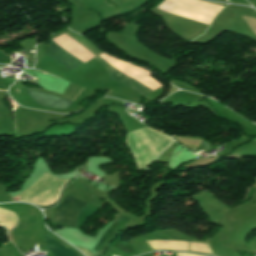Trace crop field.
Returning <instances> with one entry per match:
<instances>
[{
  "mask_svg": "<svg viewBox=\"0 0 256 256\" xmlns=\"http://www.w3.org/2000/svg\"><path fill=\"white\" fill-rule=\"evenodd\" d=\"M85 205L86 203L67 196L55 212L54 223L76 227L77 214Z\"/></svg>",
  "mask_w": 256,
  "mask_h": 256,
  "instance_id": "8a807250",
  "label": "crop field"
},
{
  "mask_svg": "<svg viewBox=\"0 0 256 256\" xmlns=\"http://www.w3.org/2000/svg\"><path fill=\"white\" fill-rule=\"evenodd\" d=\"M32 99L39 105L67 109L72 103L62 98L27 90Z\"/></svg>",
  "mask_w": 256,
  "mask_h": 256,
  "instance_id": "412701ff",
  "label": "crop field"
},
{
  "mask_svg": "<svg viewBox=\"0 0 256 256\" xmlns=\"http://www.w3.org/2000/svg\"><path fill=\"white\" fill-rule=\"evenodd\" d=\"M49 48L51 53L48 55L71 70L83 64V62H81L53 40H50Z\"/></svg>",
  "mask_w": 256,
  "mask_h": 256,
  "instance_id": "34b2d1b8",
  "label": "crop field"
},
{
  "mask_svg": "<svg viewBox=\"0 0 256 256\" xmlns=\"http://www.w3.org/2000/svg\"><path fill=\"white\" fill-rule=\"evenodd\" d=\"M46 247L54 256H79L74 251L45 234Z\"/></svg>",
  "mask_w": 256,
  "mask_h": 256,
  "instance_id": "dd49c442",
  "label": "crop field"
},
{
  "mask_svg": "<svg viewBox=\"0 0 256 256\" xmlns=\"http://www.w3.org/2000/svg\"><path fill=\"white\" fill-rule=\"evenodd\" d=\"M127 220L128 218L120 215L109 230L104 234V236L99 240V242L94 246L93 250L101 252Z\"/></svg>",
  "mask_w": 256,
  "mask_h": 256,
  "instance_id": "f4fd0767",
  "label": "crop field"
},
{
  "mask_svg": "<svg viewBox=\"0 0 256 256\" xmlns=\"http://www.w3.org/2000/svg\"><path fill=\"white\" fill-rule=\"evenodd\" d=\"M98 62L107 70L109 76L125 85H127L128 87L134 89L136 92H138L139 94L145 96L153 91H151L150 89L146 88L145 86H143L142 84L138 83L137 81H135L134 79L128 77L127 75L123 74L122 72H120L119 70H117L115 67H113L112 65H110L109 63H107L106 61H104L102 58H100L99 56L95 57ZM118 82V83H119Z\"/></svg>",
  "mask_w": 256,
  "mask_h": 256,
  "instance_id": "ac0d7876",
  "label": "crop field"
}]
</instances>
